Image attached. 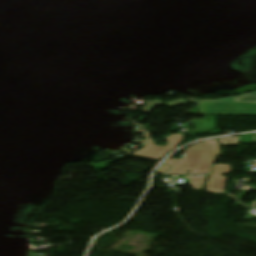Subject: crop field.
I'll return each instance as SVG.
<instances>
[{"mask_svg":"<svg viewBox=\"0 0 256 256\" xmlns=\"http://www.w3.org/2000/svg\"><path fill=\"white\" fill-rule=\"evenodd\" d=\"M220 154L216 140L201 142L185 149L181 160L169 159L156 173L166 176L195 174L196 177L183 178L190 179V186L194 187V190H202L207 176L210 175V167ZM186 170L191 172L187 173Z\"/></svg>","mask_w":256,"mask_h":256,"instance_id":"1","label":"crop field"},{"mask_svg":"<svg viewBox=\"0 0 256 256\" xmlns=\"http://www.w3.org/2000/svg\"><path fill=\"white\" fill-rule=\"evenodd\" d=\"M150 134H155L152 132H147L145 145L143 148L133 152L130 156L148 159L152 161L159 162L168 153L174 150L177 145L183 140L186 134H171L168 137L161 136L167 140V145L164 147L154 145L153 139L150 138Z\"/></svg>","mask_w":256,"mask_h":256,"instance_id":"2","label":"crop field"},{"mask_svg":"<svg viewBox=\"0 0 256 256\" xmlns=\"http://www.w3.org/2000/svg\"><path fill=\"white\" fill-rule=\"evenodd\" d=\"M203 115L247 114L256 115V104L249 103H203L198 106Z\"/></svg>","mask_w":256,"mask_h":256,"instance_id":"3","label":"crop field"},{"mask_svg":"<svg viewBox=\"0 0 256 256\" xmlns=\"http://www.w3.org/2000/svg\"><path fill=\"white\" fill-rule=\"evenodd\" d=\"M219 174H231V164H214L212 176L208 178L205 186L207 192L229 193L224 191L227 177Z\"/></svg>","mask_w":256,"mask_h":256,"instance_id":"4","label":"crop field"},{"mask_svg":"<svg viewBox=\"0 0 256 256\" xmlns=\"http://www.w3.org/2000/svg\"><path fill=\"white\" fill-rule=\"evenodd\" d=\"M189 99H190L191 103H193L195 105L201 104L203 102H250V103H256V93L237 96V97L207 100V101H200V100H196V99H192V98H189Z\"/></svg>","mask_w":256,"mask_h":256,"instance_id":"5","label":"crop field"},{"mask_svg":"<svg viewBox=\"0 0 256 256\" xmlns=\"http://www.w3.org/2000/svg\"><path fill=\"white\" fill-rule=\"evenodd\" d=\"M240 136L219 139L221 145H239Z\"/></svg>","mask_w":256,"mask_h":256,"instance_id":"6","label":"crop field"},{"mask_svg":"<svg viewBox=\"0 0 256 256\" xmlns=\"http://www.w3.org/2000/svg\"><path fill=\"white\" fill-rule=\"evenodd\" d=\"M158 103H160V102H158V101H151L147 105H145L141 111H143V112H150Z\"/></svg>","mask_w":256,"mask_h":256,"instance_id":"7","label":"crop field"},{"mask_svg":"<svg viewBox=\"0 0 256 256\" xmlns=\"http://www.w3.org/2000/svg\"><path fill=\"white\" fill-rule=\"evenodd\" d=\"M255 134L242 135L240 143H252Z\"/></svg>","mask_w":256,"mask_h":256,"instance_id":"8","label":"crop field"},{"mask_svg":"<svg viewBox=\"0 0 256 256\" xmlns=\"http://www.w3.org/2000/svg\"><path fill=\"white\" fill-rule=\"evenodd\" d=\"M121 159H123V158H121ZM117 160H120V159H116V160L105 162V163H101V164H93L91 166L94 167L97 170L105 169L106 167H108V166H106L107 164L112 163V162L117 161Z\"/></svg>","mask_w":256,"mask_h":256,"instance_id":"9","label":"crop field"},{"mask_svg":"<svg viewBox=\"0 0 256 256\" xmlns=\"http://www.w3.org/2000/svg\"><path fill=\"white\" fill-rule=\"evenodd\" d=\"M185 103H186L185 99L176 100V101L170 102V103H169V106H170V107H174V106H176V105H183V104H185Z\"/></svg>","mask_w":256,"mask_h":256,"instance_id":"10","label":"crop field"}]
</instances>
